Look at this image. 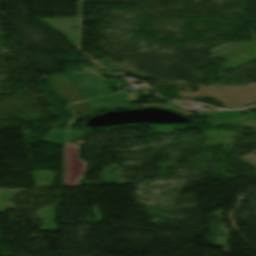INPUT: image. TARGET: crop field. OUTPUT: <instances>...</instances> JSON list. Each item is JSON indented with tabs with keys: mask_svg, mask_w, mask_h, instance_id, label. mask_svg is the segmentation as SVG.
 Segmentation results:
<instances>
[{
	"mask_svg": "<svg viewBox=\"0 0 256 256\" xmlns=\"http://www.w3.org/2000/svg\"><path fill=\"white\" fill-rule=\"evenodd\" d=\"M78 153V145L64 146L63 186H79V179L87 171V162L79 159Z\"/></svg>",
	"mask_w": 256,
	"mask_h": 256,
	"instance_id": "crop-field-1",
	"label": "crop field"
},
{
	"mask_svg": "<svg viewBox=\"0 0 256 256\" xmlns=\"http://www.w3.org/2000/svg\"><path fill=\"white\" fill-rule=\"evenodd\" d=\"M129 100H138V94H128Z\"/></svg>",
	"mask_w": 256,
	"mask_h": 256,
	"instance_id": "crop-field-2",
	"label": "crop field"
}]
</instances>
